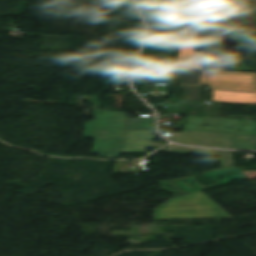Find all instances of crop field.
Segmentation results:
<instances>
[{"label":"crop field","mask_w":256,"mask_h":256,"mask_svg":"<svg viewBox=\"0 0 256 256\" xmlns=\"http://www.w3.org/2000/svg\"><path fill=\"white\" fill-rule=\"evenodd\" d=\"M163 152L176 153V154H189V153H199V154H213L220 155L221 168L233 165L232 155L229 151H215L199 148H188V147H178L171 145L166 148Z\"/></svg>","instance_id":"d8731c3e"},{"label":"crop field","mask_w":256,"mask_h":256,"mask_svg":"<svg viewBox=\"0 0 256 256\" xmlns=\"http://www.w3.org/2000/svg\"><path fill=\"white\" fill-rule=\"evenodd\" d=\"M214 100L256 104V94L214 91Z\"/></svg>","instance_id":"5a996713"},{"label":"crop field","mask_w":256,"mask_h":256,"mask_svg":"<svg viewBox=\"0 0 256 256\" xmlns=\"http://www.w3.org/2000/svg\"><path fill=\"white\" fill-rule=\"evenodd\" d=\"M183 34H185V38L181 43L177 66L202 69L203 64L196 62V57H204L205 52H194L198 32L183 31Z\"/></svg>","instance_id":"e52e79f7"},{"label":"crop field","mask_w":256,"mask_h":256,"mask_svg":"<svg viewBox=\"0 0 256 256\" xmlns=\"http://www.w3.org/2000/svg\"><path fill=\"white\" fill-rule=\"evenodd\" d=\"M96 121L86 123L85 138L95 137L93 153L119 158L125 129H154V118H128L124 112L93 110Z\"/></svg>","instance_id":"8a807250"},{"label":"crop field","mask_w":256,"mask_h":256,"mask_svg":"<svg viewBox=\"0 0 256 256\" xmlns=\"http://www.w3.org/2000/svg\"><path fill=\"white\" fill-rule=\"evenodd\" d=\"M171 140L180 144L231 149L233 135L182 131L181 134L172 133Z\"/></svg>","instance_id":"f4fd0767"},{"label":"crop field","mask_w":256,"mask_h":256,"mask_svg":"<svg viewBox=\"0 0 256 256\" xmlns=\"http://www.w3.org/2000/svg\"><path fill=\"white\" fill-rule=\"evenodd\" d=\"M232 149L256 150V137L234 135Z\"/></svg>","instance_id":"3316defc"},{"label":"crop field","mask_w":256,"mask_h":256,"mask_svg":"<svg viewBox=\"0 0 256 256\" xmlns=\"http://www.w3.org/2000/svg\"><path fill=\"white\" fill-rule=\"evenodd\" d=\"M155 220L232 218L202 191L171 199L155 209Z\"/></svg>","instance_id":"ac0d7876"},{"label":"crop field","mask_w":256,"mask_h":256,"mask_svg":"<svg viewBox=\"0 0 256 256\" xmlns=\"http://www.w3.org/2000/svg\"><path fill=\"white\" fill-rule=\"evenodd\" d=\"M154 130H126L121 153H146V147L164 146L154 143Z\"/></svg>","instance_id":"dd49c442"},{"label":"crop field","mask_w":256,"mask_h":256,"mask_svg":"<svg viewBox=\"0 0 256 256\" xmlns=\"http://www.w3.org/2000/svg\"><path fill=\"white\" fill-rule=\"evenodd\" d=\"M202 83L213 89L256 92V73L205 71Z\"/></svg>","instance_id":"412701ff"},{"label":"crop field","mask_w":256,"mask_h":256,"mask_svg":"<svg viewBox=\"0 0 256 256\" xmlns=\"http://www.w3.org/2000/svg\"><path fill=\"white\" fill-rule=\"evenodd\" d=\"M188 116L183 130L256 136V120ZM209 124L211 127L204 126ZM246 125V126H244Z\"/></svg>","instance_id":"34b2d1b8"}]
</instances>
